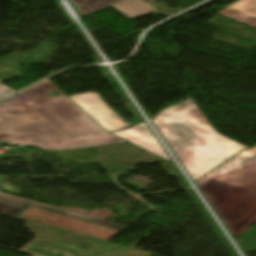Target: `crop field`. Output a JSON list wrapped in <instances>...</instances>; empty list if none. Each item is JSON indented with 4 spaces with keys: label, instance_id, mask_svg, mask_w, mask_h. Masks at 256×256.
I'll use <instances>...</instances> for the list:
<instances>
[{
    "label": "crop field",
    "instance_id": "crop-field-1",
    "mask_svg": "<svg viewBox=\"0 0 256 256\" xmlns=\"http://www.w3.org/2000/svg\"><path fill=\"white\" fill-rule=\"evenodd\" d=\"M49 90H56L58 96L50 98ZM0 141L44 150L124 142L107 133L48 80L0 103Z\"/></svg>",
    "mask_w": 256,
    "mask_h": 256
},
{
    "label": "crop field",
    "instance_id": "crop-field-2",
    "mask_svg": "<svg viewBox=\"0 0 256 256\" xmlns=\"http://www.w3.org/2000/svg\"><path fill=\"white\" fill-rule=\"evenodd\" d=\"M152 121L194 181L247 148L217 133L191 98Z\"/></svg>",
    "mask_w": 256,
    "mask_h": 256
},
{
    "label": "crop field",
    "instance_id": "crop-field-3",
    "mask_svg": "<svg viewBox=\"0 0 256 256\" xmlns=\"http://www.w3.org/2000/svg\"><path fill=\"white\" fill-rule=\"evenodd\" d=\"M233 237L256 222V147L196 182Z\"/></svg>",
    "mask_w": 256,
    "mask_h": 256
},
{
    "label": "crop field",
    "instance_id": "crop-field-4",
    "mask_svg": "<svg viewBox=\"0 0 256 256\" xmlns=\"http://www.w3.org/2000/svg\"><path fill=\"white\" fill-rule=\"evenodd\" d=\"M32 206L38 209H42L45 211L61 214L64 216L80 219L83 221L99 224L105 227L121 230L127 226H123L114 222L102 220L99 218L86 216L85 214L75 213L71 211H67L64 209H60L57 207L41 204L35 201H31L29 199L17 197L14 195H10L7 193L0 192V211L4 213H8L11 215L18 216L21 212H23L27 207Z\"/></svg>",
    "mask_w": 256,
    "mask_h": 256
},
{
    "label": "crop field",
    "instance_id": "crop-field-5",
    "mask_svg": "<svg viewBox=\"0 0 256 256\" xmlns=\"http://www.w3.org/2000/svg\"><path fill=\"white\" fill-rule=\"evenodd\" d=\"M68 98L98 122L107 132L130 127L102 101L99 93L88 92Z\"/></svg>",
    "mask_w": 256,
    "mask_h": 256
},
{
    "label": "crop field",
    "instance_id": "crop-field-6",
    "mask_svg": "<svg viewBox=\"0 0 256 256\" xmlns=\"http://www.w3.org/2000/svg\"><path fill=\"white\" fill-rule=\"evenodd\" d=\"M112 134L119 136L127 141H130L168 161L170 159L166 155L165 151L158 143L154 135L145 125V123L137 125L133 128L112 132Z\"/></svg>",
    "mask_w": 256,
    "mask_h": 256
},
{
    "label": "crop field",
    "instance_id": "crop-field-7",
    "mask_svg": "<svg viewBox=\"0 0 256 256\" xmlns=\"http://www.w3.org/2000/svg\"><path fill=\"white\" fill-rule=\"evenodd\" d=\"M217 14L256 30V0H239Z\"/></svg>",
    "mask_w": 256,
    "mask_h": 256
},
{
    "label": "crop field",
    "instance_id": "crop-field-8",
    "mask_svg": "<svg viewBox=\"0 0 256 256\" xmlns=\"http://www.w3.org/2000/svg\"><path fill=\"white\" fill-rule=\"evenodd\" d=\"M19 252L33 256H95L39 240L34 241Z\"/></svg>",
    "mask_w": 256,
    "mask_h": 256
},
{
    "label": "crop field",
    "instance_id": "crop-field-9",
    "mask_svg": "<svg viewBox=\"0 0 256 256\" xmlns=\"http://www.w3.org/2000/svg\"><path fill=\"white\" fill-rule=\"evenodd\" d=\"M112 7L129 19L158 12V10L146 3L144 0H123L112 5Z\"/></svg>",
    "mask_w": 256,
    "mask_h": 256
},
{
    "label": "crop field",
    "instance_id": "crop-field-10",
    "mask_svg": "<svg viewBox=\"0 0 256 256\" xmlns=\"http://www.w3.org/2000/svg\"><path fill=\"white\" fill-rule=\"evenodd\" d=\"M79 10L83 18L120 0H70Z\"/></svg>",
    "mask_w": 256,
    "mask_h": 256
},
{
    "label": "crop field",
    "instance_id": "crop-field-11",
    "mask_svg": "<svg viewBox=\"0 0 256 256\" xmlns=\"http://www.w3.org/2000/svg\"><path fill=\"white\" fill-rule=\"evenodd\" d=\"M14 92L13 90H11L10 88H8L7 86L3 85L2 83H0V98L10 94Z\"/></svg>",
    "mask_w": 256,
    "mask_h": 256
},
{
    "label": "crop field",
    "instance_id": "crop-field-12",
    "mask_svg": "<svg viewBox=\"0 0 256 256\" xmlns=\"http://www.w3.org/2000/svg\"><path fill=\"white\" fill-rule=\"evenodd\" d=\"M0 191H2V189H0Z\"/></svg>",
    "mask_w": 256,
    "mask_h": 256
}]
</instances>
